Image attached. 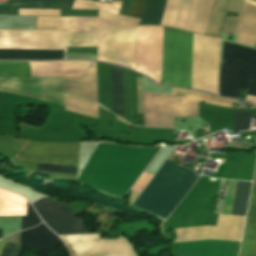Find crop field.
Returning a JSON list of instances; mask_svg holds the SVG:
<instances>
[{"label": "crop field", "mask_w": 256, "mask_h": 256, "mask_svg": "<svg viewBox=\"0 0 256 256\" xmlns=\"http://www.w3.org/2000/svg\"><path fill=\"white\" fill-rule=\"evenodd\" d=\"M192 34L164 27L162 84L190 88ZM219 40L193 34L191 88L217 95Z\"/></svg>", "instance_id": "8a807250"}, {"label": "crop field", "mask_w": 256, "mask_h": 256, "mask_svg": "<svg viewBox=\"0 0 256 256\" xmlns=\"http://www.w3.org/2000/svg\"><path fill=\"white\" fill-rule=\"evenodd\" d=\"M0 91L66 105V110L98 118L97 103L64 94L82 95L97 101L96 62L92 63L83 77L0 78Z\"/></svg>", "instance_id": "ac0d7876"}, {"label": "crop field", "mask_w": 256, "mask_h": 256, "mask_svg": "<svg viewBox=\"0 0 256 256\" xmlns=\"http://www.w3.org/2000/svg\"><path fill=\"white\" fill-rule=\"evenodd\" d=\"M197 178L193 172L165 162L133 207L166 218Z\"/></svg>", "instance_id": "34b2d1b8"}, {"label": "crop field", "mask_w": 256, "mask_h": 256, "mask_svg": "<svg viewBox=\"0 0 256 256\" xmlns=\"http://www.w3.org/2000/svg\"><path fill=\"white\" fill-rule=\"evenodd\" d=\"M139 21L99 10L97 60L136 70Z\"/></svg>", "instance_id": "412701ff"}, {"label": "crop field", "mask_w": 256, "mask_h": 256, "mask_svg": "<svg viewBox=\"0 0 256 256\" xmlns=\"http://www.w3.org/2000/svg\"><path fill=\"white\" fill-rule=\"evenodd\" d=\"M236 41L255 46L256 1L247 0ZM221 64L248 72L247 95L256 96V50L223 41Z\"/></svg>", "instance_id": "f4fd0767"}, {"label": "crop field", "mask_w": 256, "mask_h": 256, "mask_svg": "<svg viewBox=\"0 0 256 256\" xmlns=\"http://www.w3.org/2000/svg\"><path fill=\"white\" fill-rule=\"evenodd\" d=\"M79 143L26 141L12 160L77 165Z\"/></svg>", "instance_id": "dd49c442"}, {"label": "crop field", "mask_w": 256, "mask_h": 256, "mask_svg": "<svg viewBox=\"0 0 256 256\" xmlns=\"http://www.w3.org/2000/svg\"><path fill=\"white\" fill-rule=\"evenodd\" d=\"M65 31L0 30V49L64 50Z\"/></svg>", "instance_id": "e52e79f7"}, {"label": "crop field", "mask_w": 256, "mask_h": 256, "mask_svg": "<svg viewBox=\"0 0 256 256\" xmlns=\"http://www.w3.org/2000/svg\"><path fill=\"white\" fill-rule=\"evenodd\" d=\"M213 1L193 0L185 30L205 35ZM228 2L215 0L206 35L219 38Z\"/></svg>", "instance_id": "d8731c3e"}, {"label": "crop field", "mask_w": 256, "mask_h": 256, "mask_svg": "<svg viewBox=\"0 0 256 256\" xmlns=\"http://www.w3.org/2000/svg\"><path fill=\"white\" fill-rule=\"evenodd\" d=\"M245 217L219 214L216 226L175 229V242H186L203 239L240 241Z\"/></svg>", "instance_id": "5a996713"}, {"label": "crop field", "mask_w": 256, "mask_h": 256, "mask_svg": "<svg viewBox=\"0 0 256 256\" xmlns=\"http://www.w3.org/2000/svg\"><path fill=\"white\" fill-rule=\"evenodd\" d=\"M192 0H146L139 24L162 25L184 29Z\"/></svg>", "instance_id": "3316defc"}, {"label": "crop field", "mask_w": 256, "mask_h": 256, "mask_svg": "<svg viewBox=\"0 0 256 256\" xmlns=\"http://www.w3.org/2000/svg\"><path fill=\"white\" fill-rule=\"evenodd\" d=\"M32 205L57 235L89 233L78 217L63 205L45 198Z\"/></svg>", "instance_id": "28ad6ade"}, {"label": "crop field", "mask_w": 256, "mask_h": 256, "mask_svg": "<svg viewBox=\"0 0 256 256\" xmlns=\"http://www.w3.org/2000/svg\"><path fill=\"white\" fill-rule=\"evenodd\" d=\"M90 63L89 61L31 62V76H82Z\"/></svg>", "instance_id": "d1516ede"}, {"label": "crop field", "mask_w": 256, "mask_h": 256, "mask_svg": "<svg viewBox=\"0 0 256 256\" xmlns=\"http://www.w3.org/2000/svg\"><path fill=\"white\" fill-rule=\"evenodd\" d=\"M61 240L45 224L21 232L20 245L31 252H42L59 246Z\"/></svg>", "instance_id": "22f410ed"}, {"label": "crop field", "mask_w": 256, "mask_h": 256, "mask_svg": "<svg viewBox=\"0 0 256 256\" xmlns=\"http://www.w3.org/2000/svg\"><path fill=\"white\" fill-rule=\"evenodd\" d=\"M98 17H38L37 29L97 30Z\"/></svg>", "instance_id": "cbeb9de0"}, {"label": "crop field", "mask_w": 256, "mask_h": 256, "mask_svg": "<svg viewBox=\"0 0 256 256\" xmlns=\"http://www.w3.org/2000/svg\"><path fill=\"white\" fill-rule=\"evenodd\" d=\"M144 2H145V0H132V4H131V0H123V4L121 7L122 2H117V1H113L112 4H107V3L75 0V3L73 5L72 9H101V10H105V11H109V12L118 14L120 7H121L119 14L127 16L129 7L131 4L128 16L140 19L142 10H143V6H144Z\"/></svg>", "instance_id": "5142ce71"}, {"label": "crop field", "mask_w": 256, "mask_h": 256, "mask_svg": "<svg viewBox=\"0 0 256 256\" xmlns=\"http://www.w3.org/2000/svg\"><path fill=\"white\" fill-rule=\"evenodd\" d=\"M247 73L220 67L219 95L238 98L239 88L246 89Z\"/></svg>", "instance_id": "d9b57169"}, {"label": "crop field", "mask_w": 256, "mask_h": 256, "mask_svg": "<svg viewBox=\"0 0 256 256\" xmlns=\"http://www.w3.org/2000/svg\"><path fill=\"white\" fill-rule=\"evenodd\" d=\"M73 2L74 0H11V5L0 6V14L18 15L19 8L71 9Z\"/></svg>", "instance_id": "733c2abd"}, {"label": "crop field", "mask_w": 256, "mask_h": 256, "mask_svg": "<svg viewBox=\"0 0 256 256\" xmlns=\"http://www.w3.org/2000/svg\"><path fill=\"white\" fill-rule=\"evenodd\" d=\"M241 256H256V177L243 240Z\"/></svg>", "instance_id": "4a817a6b"}, {"label": "crop field", "mask_w": 256, "mask_h": 256, "mask_svg": "<svg viewBox=\"0 0 256 256\" xmlns=\"http://www.w3.org/2000/svg\"><path fill=\"white\" fill-rule=\"evenodd\" d=\"M113 112L125 119L123 68L111 65Z\"/></svg>", "instance_id": "bc2a9ffb"}, {"label": "crop field", "mask_w": 256, "mask_h": 256, "mask_svg": "<svg viewBox=\"0 0 256 256\" xmlns=\"http://www.w3.org/2000/svg\"><path fill=\"white\" fill-rule=\"evenodd\" d=\"M64 51L0 50V59H63Z\"/></svg>", "instance_id": "214f88e0"}, {"label": "crop field", "mask_w": 256, "mask_h": 256, "mask_svg": "<svg viewBox=\"0 0 256 256\" xmlns=\"http://www.w3.org/2000/svg\"><path fill=\"white\" fill-rule=\"evenodd\" d=\"M8 199L25 205V207L8 201ZM26 200L20 196L0 189V216L25 215Z\"/></svg>", "instance_id": "92a150f3"}, {"label": "crop field", "mask_w": 256, "mask_h": 256, "mask_svg": "<svg viewBox=\"0 0 256 256\" xmlns=\"http://www.w3.org/2000/svg\"><path fill=\"white\" fill-rule=\"evenodd\" d=\"M97 31H67L66 46H96Z\"/></svg>", "instance_id": "dafd665d"}, {"label": "crop field", "mask_w": 256, "mask_h": 256, "mask_svg": "<svg viewBox=\"0 0 256 256\" xmlns=\"http://www.w3.org/2000/svg\"><path fill=\"white\" fill-rule=\"evenodd\" d=\"M251 183L238 181L233 202L232 215L245 216Z\"/></svg>", "instance_id": "00972430"}, {"label": "crop field", "mask_w": 256, "mask_h": 256, "mask_svg": "<svg viewBox=\"0 0 256 256\" xmlns=\"http://www.w3.org/2000/svg\"><path fill=\"white\" fill-rule=\"evenodd\" d=\"M4 76L29 77V62H0V77Z\"/></svg>", "instance_id": "a9b5d70f"}, {"label": "crop field", "mask_w": 256, "mask_h": 256, "mask_svg": "<svg viewBox=\"0 0 256 256\" xmlns=\"http://www.w3.org/2000/svg\"><path fill=\"white\" fill-rule=\"evenodd\" d=\"M245 3L246 0H230L227 11L239 12V15L238 18H227L223 31L234 33L238 32Z\"/></svg>", "instance_id": "4177f3b9"}, {"label": "crop field", "mask_w": 256, "mask_h": 256, "mask_svg": "<svg viewBox=\"0 0 256 256\" xmlns=\"http://www.w3.org/2000/svg\"><path fill=\"white\" fill-rule=\"evenodd\" d=\"M40 222V218L27 201L26 216H22L21 230L38 225Z\"/></svg>", "instance_id": "730fd06b"}, {"label": "crop field", "mask_w": 256, "mask_h": 256, "mask_svg": "<svg viewBox=\"0 0 256 256\" xmlns=\"http://www.w3.org/2000/svg\"><path fill=\"white\" fill-rule=\"evenodd\" d=\"M37 171L76 174V167L38 163Z\"/></svg>", "instance_id": "eef30255"}, {"label": "crop field", "mask_w": 256, "mask_h": 256, "mask_svg": "<svg viewBox=\"0 0 256 256\" xmlns=\"http://www.w3.org/2000/svg\"><path fill=\"white\" fill-rule=\"evenodd\" d=\"M235 131L249 129L251 112H234Z\"/></svg>", "instance_id": "ae1a2a85"}, {"label": "crop field", "mask_w": 256, "mask_h": 256, "mask_svg": "<svg viewBox=\"0 0 256 256\" xmlns=\"http://www.w3.org/2000/svg\"><path fill=\"white\" fill-rule=\"evenodd\" d=\"M19 15L59 16V10L20 9Z\"/></svg>", "instance_id": "d3111659"}, {"label": "crop field", "mask_w": 256, "mask_h": 256, "mask_svg": "<svg viewBox=\"0 0 256 256\" xmlns=\"http://www.w3.org/2000/svg\"><path fill=\"white\" fill-rule=\"evenodd\" d=\"M23 247L15 245L10 256H19ZM23 251V250H22ZM21 256V255H20Z\"/></svg>", "instance_id": "750c4746"}, {"label": "crop field", "mask_w": 256, "mask_h": 256, "mask_svg": "<svg viewBox=\"0 0 256 256\" xmlns=\"http://www.w3.org/2000/svg\"><path fill=\"white\" fill-rule=\"evenodd\" d=\"M246 100L251 101V102H253V103H255V104H256V97H253V96H247V97H246Z\"/></svg>", "instance_id": "bd1437ed"}, {"label": "crop field", "mask_w": 256, "mask_h": 256, "mask_svg": "<svg viewBox=\"0 0 256 256\" xmlns=\"http://www.w3.org/2000/svg\"><path fill=\"white\" fill-rule=\"evenodd\" d=\"M4 244H5V242L0 241V251H1L2 247L4 246Z\"/></svg>", "instance_id": "1d83c4d3"}]
</instances>
